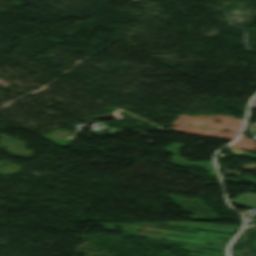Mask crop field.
<instances>
[{"instance_id":"8a807250","label":"crop field","mask_w":256,"mask_h":256,"mask_svg":"<svg viewBox=\"0 0 256 256\" xmlns=\"http://www.w3.org/2000/svg\"><path fill=\"white\" fill-rule=\"evenodd\" d=\"M228 201L236 205L256 207V195L251 193H245L243 195H239L237 200H228Z\"/></svg>"}]
</instances>
